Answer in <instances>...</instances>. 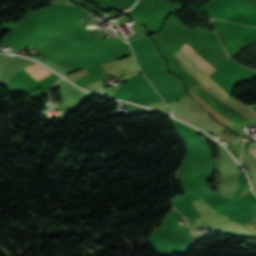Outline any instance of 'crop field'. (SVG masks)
<instances>
[{
	"label": "crop field",
	"instance_id": "obj_1",
	"mask_svg": "<svg viewBox=\"0 0 256 256\" xmlns=\"http://www.w3.org/2000/svg\"><path fill=\"white\" fill-rule=\"evenodd\" d=\"M191 92L237 126L249 120L200 87Z\"/></svg>",
	"mask_w": 256,
	"mask_h": 256
},
{
	"label": "crop field",
	"instance_id": "obj_2",
	"mask_svg": "<svg viewBox=\"0 0 256 256\" xmlns=\"http://www.w3.org/2000/svg\"><path fill=\"white\" fill-rule=\"evenodd\" d=\"M175 54L187 67V69L194 73L207 86H209L225 98L229 96L224 89H222L214 80H212L206 73H204L199 67H197L191 60H189V57L187 56V58L181 50L175 52Z\"/></svg>",
	"mask_w": 256,
	"mask_h": 256
},
{
	"label": "crop field",
	"instance_id": "obj_3",
	"mask_svg": "<svg viewBox=\"0 0 256 256\" xmlns=\"http://www.w3.org/2000/svg\"><path fill=\"white\" fill-rule=\"evenodd\" d=\"M181 50L184 52L186 56H188L196 65H198L208 75L216 70L186 42Z\"/></svg>",
	"mask_w": 256,
	"mask_h": 256
},
{
	"label": "crop field",
	"instance_id": "obj_4",
	"mask_svg": "<svg viewBox=\"0 0 256 256\" xmlns=\"http://www.w3.org/2000/svg\"><path fill=\"white\" fill-rule=\"evenodd\" d=\"M30 74H32L37 80L41 79L42 77L48 75L50 72L45 70L43 67H41L38 64H34L30 67L25 68ZM31 75V76H32ZM32 76V77H33ZM33 77V78H34Z\"/></svg>",
	"mask_w": 256,
	"mask_h": 256
},
{
	"label": "crop field",
	"instance_id": "obj_5",
	"mask_svg": "<svg viewBox=\"0 0 256 256\" xmlns=\"http://www.w3.org/2000/svg\"><path fill=\"white\" fill-rule=\"evenodd\" d=\"M244 227L256 236V218L254 220H252L251 222L247 223L246 225H244Z\"/></svg>",
	"mask_w": 256,
	"mask_h": 256
},
{
	"label": "crop field",
	"instance_id": "obj_6",
	"mask_svg": "<svg viewBox=\"0 0 256 256\" xmlns=\"http://www.w3.org/2000/svg\"><path fill=\"white\" fill-rule=\"evenodd\" d=\"M250 152L256 157V149L250 150Z\"/></svg>",
	"mask_w": 256,
	"mask_h": 256
}]
</instances>
